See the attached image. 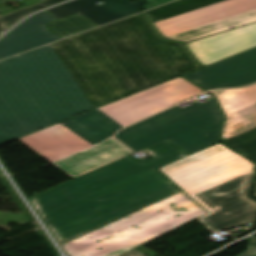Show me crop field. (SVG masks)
Wrapping results in <instances>:
<instances>
[{"label": "crop field", "instance_id": "dd49c442", "mask_svg": "<svg viewBox=\"0 0 256 256\" xmlns=\"http://www.w3.org/2000/svg\"><path fill=\"white\" fill-rule=\"evenodd\" d=\"M145 15L164 38L185 42L256 21V0H179Z\"/></svg>", "mask_w": 256, "mask_h": 256}, {"label": "crop field", "instance_id": "22f410ed", "mask_svg": "<svg viewBox=\"0 0 256 256\" xmlns=\"http://www.w3.org/2000/svg\"><path fill=\"white\" fill-rule=\"evenodd\" d=\"M222 122L223 117L212 120L170 140L192 154L220 141Z\"/></svg>", "mask_w": 256, "mask_h": 256}, {"label": "crop field", "instance_id": "5a996713", "mask_svg": "<svg viewBox=\"0 0 256 256\" xmlns=\"http://www.w3.org/2000/svg\"><path fill=\"white\" fill-rule=\"evenodd\" d=\"M202 65L256 46V23L186 44Z\"/></svg>", "mask_w": 256, "mask_h": 256}, {"label": "crop field", "instance_id": "214f88e0", "mask_svg": "<svg viewBox=\"0 0 256 256\" xmlns=\"http://www.w3.org/2000/svg\"><path fill=\"white\" fill-rule=\"evenodd\" d=\"M169 1H172V0H148V3L145 6L144 10L154 7V6H157V5H160V4H163V3H166V2H169Z\"/></svg>", "mask_w": 256, "mask_h": 256}, {"label": "crop field", "instance_id": "733c2abd", "mask_svg": "<svg viewBox=\"0 0 256 256\" xmlns=\"http://www.w3.org/2000/svg\"><path fill=\"white\" fill-rule=\"evenodd\" d=\"M244 155L256 160V128L224 141Z\"/></svg>", "mask_w": 256, "mask_h": 256}, {"label": "crop field", "instance_id": "5142ce71", "mask_svg": "<svg viewBox=\"0 0 256 256\" xmlns=\"http://www.w3.org/2000/svg\"><path fill=\"white\" fill-rule=\"evenodd\" d=\"M223 140L256 127V103L225 116Z\"/></svg>", "mask_w": 256, "mask_h": 256}, {"label": "crop field", "instance_id": "dafd665d", "mask_svg": "<svg viewBox=\"0 0 256 256\" xmlns=\"http://www.w3.org/2000/svg\"><path fill=\"white\" fill-rule=\"evenodd\" d=\"M123 256H144V255H142L140 252H138L136 250H133V251H131V252H129V253L123 255Z\"/></svg>", "mask_w": 256, "mask_h": 256}, {"label": "crop field", "instance_id": "bc2a9ffb", "mask_svg": "<svg viewBox=\"0 0 256 256\" xmlns=\"http://www.w3.org/2000/svg\"><path fill=\"white\" fill-rule=\"evenodd\" d=\"M239 256H256V240H249L248 250L243 252Z\"/></svg>", "mask_w": 256, "mask_h": 256}, {"label": "crop field", "instance_id": "e52e79f7", "mask_svg": "<svg viewBox=\"0 0 256 256\" xmlns=\"http://www.w3.org/2000/svg\"><path fill=\"white\" fill-rule=\"evenodd\" d=\"M221 116L215 99L210 96L203 104L194 102L183 109L177 106L168 109L122 130L115 137L137 152Z\"/></svg>", "mask_w": 256, "mask_h": 256}, {"label": "crop field", "instance_id": "4a817a6b", "mask_svg": "<svg viewBox=\"0 0 256 256\" xmlns=\"http://www.w3.org/2000/svg\"><path fill=\"white\" fill-rule=\"evenodd\" d=\"M39 9H42V8L39 6V3H38L32 6L11 12V13H7L0 16V22L3 25V27L9 28L15 23H17L19 20H21L23 17H25L26 15Z\"/></svg>", "mask_w": 256, "mask_h": 256}, {"label": "crop field", "instance_id": "f4fd0767", "mask_svg": "<svg viewBox=\"0 0 256 256\" xmlns=\"http://www.w3.org/2000/svg\"><path fill=\"white\" fill-rule=\"evenodd\" d=\"M206 213L207 210L183 191L62 247L70 256H120Z\"/></svg>", "mask_w": 256, "mask_h": 256}, {"label": "crop field", "instance_id": "d9b57169", "mask_svg": "<svg viewBox=\"0 0 256 256\" xmlns=\"http://www.w3.org/2000/svg\"><path fill=\"white\" fill-rule=\"evenodd\" d=\"M48 26L53 33L63 38L95 27L79 14L56 21Z\"/></svg>", "mask_w": 256, "mask_h": 256}, {"label": "crop field", "instance_id": "412701ff", "mask_svg": "<svg viewBox=\"0 0 256 256\" xmlns=\"http://www.w3.org/2000/svg\"><path fill=\"white\" fill-rule=\"evenodd\" d=\"M199 92L204 91L180 77L19 140L53 162Z\"/></svg>", "mask_w": 256, "mask_h": 256}, {"label": "crop field", "instance_id": "00972430", "mask_svg": "<svg viewBox=\"0 0 256 256\" xmlns=\"http://www.w3.org/2000/svg\"><path fill=\"white\" fill-rule=\"evenodd\" d=\"M5 31V29L0 27V34H2Z\"/></svg>", "mask_w": 256, "mask_h": 256}, {"label": "crop field", "instance_id": "ac0d7876", "mask_svg": "<svg viewBox=\"0 0 256 256\" xmlns=\"http://www.w3.org/2000/svg\"><path fill=\"white\" fill-rule=\"evenodd\" d=\"M144 150L154 158L130 155L30 198L58 242L180 190L155 168L189 154L170 140Z\"/></svg>", "mask_w": 256, "mask_h": 256}, {"label": "crop field", "instance_id": "92a150f3", "mask_svg": "<svg viewBox=\"0 0 256 256\" xmlns=\"http://www.w3.org/2000/svg\"><path fill=\"white\" fill-rule=\"evenodd\" d=\"M63 1H66V0H46V1L41 2L40 6L45 8V7H48V6L63 2Z\"/></svg>", "mask_w": 256, "mask_h": 256}, {"label": "crop field", "instance_id": "a9b5d70f", "mask_svg": "<svg viewBox=\"0 0 256 256\" xmlns=\"http://www.w3.org/2000/svg\"><path fill=\"white\" fill-rule=\"evenodd\" d=\"M254 196L256 197V186H255V192H254Z\"/></svg>", "mask_w": 256, "mask_h": 256}, {"label": "crop field", "instance_id": "28ad6ade", "mask_svg": "<svg viewBox=\"0 0 256 256\" xmlns=\"http://www.w3.org/2000/svg\"><path fill=\"white\" fill-rule=\"evenodd\" d=\"M53 20L55 19L43 11L19 24L0 41V59L59 40L45 27L46 22Z\"/></svg>", "mask_w": 256, "mask_h": 256}, {"label": "crop field", "instance_id": "d1516ede", "mask_svg": "<svg viewBox=\"0 0 256 256\" xmlns=\"http://www.w3.org/2000/svg\"><path fill=\"white\" fill-rule=\"evenodd\" d=\"M132 153L131 150L112 138L77 155L60 160L54 165L75 179Z\"/></svg>", "mask_w": 256, "mask_h": 256}, {"label": "crop field", "instance_id": "cbeb9de0", "mask_svg": "<svg viewBox=\"0 0 256 256\" xmlns=\"http://www.w3.org/2000/svg\"><path fill=\"white\" fill-rule=\"evenodd\" d=\"M211 93L220 100L225 115L256 102V85L236 90H217Z\"/></svg>", "mask_w": 256, "mask_h": 256}, {"label": "crop field", "instance_id": "d8731c3e", "mask_svg": "<svg viewBox=\"0 0 256 256\" xmlns=\"http://www.w3.org/2000/svg\"><path fill=\"white\" fill-rule=\"evenodd\" d=\"M209 90L251 84L256 81V48L185 75Z\"/></svg>", "mask_w": 256, "mask_h": 256}, {"label": "crop field", "instance_id": "4177f3b9", "mask_svg": "<svg viewBox=\"0 0 256 256\" xmlns=\"http://www.w3.org/2000/svg\"><path fill=\"white\" fill-rule=\"evenodd\" d=\"M0 174H1V172H0Z\"/></svg>", "mask_w": 256, "mask_h": 256}, {"label": "crop field", "instance_id": "3316defc", "mask_svg": "<svg viewBox=\"0 0 256 256\" xmlns=\"http://www.w3.org/2000/svg\"><path fill=\"white\" fill-rule=\"evenodd\" d=\"M102 1L98 6L95 3ZM142 0L130 3L128 0H75L47 10L57 20L73 14H81L96 26L139 12Z\"/></svg>", "mask_w": 256, "mask_h": 256}, {"label": "crop field", "instance_id": "34b2d1b8", "mask_svg": "<svg viewBox=\"0 0 256 256\" xmlns=\"http://www.w3.org/2000/svg\"><path fill=\"white\" fill-rule=\"evenodd\" d=\"M254 165L220 143L160 170L209 211L198 220L214 233L246 223L255 227L256 201L249 197Z\"/></svg>", "mask_w": 256, "mask_h": 256}, {"label": "crop field", "instance_id": "730fd06b", "mask_svg": "<svg viewBox=\"0 0 256 256\" xmlns=\"http://www.w3.org/2000/svg\"><path fill=\"white\" fill-rule=\"evenodd\" d=\"M41 1H43V0H41Z\"/></svg>", "mask_w": 256, "mask_h": 256}, {"label": "crop field", "instance_id": "8a807250", "mask_svg": "<svg viewBox=\"0 0 256 256\" xmlns=\"http://www.w3.org/2000/svg\"><path fill=\"white\" fill-rule=\"evenodd\" d=\"M200 67L145 17L0 62V145Z\"/></svg>", "mask_w": 256, "mask_h": 256}]
</instances>
